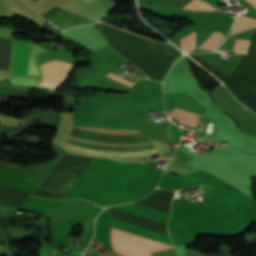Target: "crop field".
<instances>
[{
  "label": "crop field",
  "mask_w": 256,
  "mask_h": 256,
  "mask_svg": "<svg viewBox=\"0 0 256 256\" xmlns=\"http://www.w3.org/2000/svg\"><path fill=\"white\" fill-rule=\"evenodd\" d=\"M113 250L123 256H151V252L172 247L111 227Z\"/></svg>",
  "instance_id": "crop-field-2"
},
{
  "label": "crop field",
  "mask_w": 256,
  "mask_h": 256,
  "mask_svg": "<svg viewBox=\"0 0 256 256\" xmlns=\"http://www.w3.org/2000/svg\"><path fill=\"white\" fill-rule=\"evenodd\" d=\"M85 1H89V0H85Z\"/></svg>",
  "instance_id": "crop-field-13"
},
{
  "label": "crop field",
  "mask_w": 256,
  "mask_h": 256,
  "mask_svg": "<svg viewBox=\"0 0 256 256\" xmlns=\"http://www.w3.org/2000/svg\"><path fill=\"white\" fill-rule=\"evenodd\" d=\"M253 7L256 8V0H247Z\"/></svg>",
  "instance_id": "crop-field-12"
},
{
  "label": "crop field",
  "mask_w": 256,
  "mask_h": 256,
  "mask_svg": "<svg viewBox=\"0 0 256 256\" xmlns=\"http://www.w3.org/2000/svg\"><path fill=\"white\" fill-rule=\"evenodd\" d=\"M194 10H215V8L200 0H196Z\"/></svg>",
  "instance_id": "crop-field-10"
},
{
  "label": "crop field",
  "mask_w": 256,
  "mask_h": 256,
  "mask_svg": "<svg viewBox=\"0 0 256 256\" xmlns=\"http://www.w3.org/2000/svg\"><path fill=\"white\" fill-rule=\"evenodd\" d=\"M223 37H224L223 34L213 32V34L206 41H204L198 48L212 50L222 40ZM224 39H225V37H224ZM224 39L222 41H224Z\"/></svg>",
  "instance_id": "crop-field-7"
},
{
  "label": "crop field",
  "mask_w": 256,
  "mask_h": 256,
  "mask_svg": "<svg viewBox=\"0 0 256 256\" xmlns=\"http://www.w3.org/2000/svg\"><path fill=\"white\" fill-rule=\"evenodd\" d=\"M65 148L70 149V150H74V151H78V152H83V153L97 154V155H108V156H118V157L145 156V155H154V154H156L155 151L136 152V153H110V152L87 150V149L68 146V145H66Z\"/></svg>",
  "instance_id": "crop-field-5"
},
{
  "label": "crop field",
  "mask_w": 256,
  "mask_h": 256,
  "mask_svg": "<svg viewBox=\"0 0 256 256\" xmlns=\"http://www.w3.org/2000/svg\"><path fill=\"white\" fill-rule=\"evenodd\" d=\"M182 48L188 53L195 49V32L181 39Z\"/></svg>",
  "instance_id": "crop-field-8"
},
{
  "label": "crop field",
  "mask_w": 256,
  "mask_h": 256,
  "mask_svg": "<svg viewBox=\"0 0 256 256\" xmlns=\"http://www.w3.org/2000/svg\"><path fill=\"white\" fill-rule=\"evenodd\" d=\"M168 114L171 115V116H174L176 118L181 119L182 121L179 122L180 124H184V125H188V126H193V127L197 126V124H198V122H199V120H200V118L202 116V115H199V114L191 113V112L180 110V109H176V108H174L173 110L168 112Z\"/></svg>",
  "instance_id": "crop-field-4"
},
{
  "label": "crop field",
  "mask_w": 256,
  "mask_h": 256,
  "mask_svg": "<svg viewBox=\"0 0 256 256\" xmlns=\"http://www.w3.org/2000/svg\"><path fill=\"white\" fill-rule=\"evenodd\" d=\"M48 51L51 50L35 43L14 41L10 76H41L35 56Z\"/></svg>",
  "instance_id": "crop-field-3"
},
{
  "label": "crop field",
  "mask_w": 256,
  "mask_h": 256,
  "mask_svg": "<svg viewBox=\"0 0 256 256\" xmlns=\"http://www.w3.org/2000/svg\"><path fill=\"white\" fill-rule=\"evenodd\" d=\"M107 76H109V77H111V78H113V79H115V80H117V81H119V82H121V83H123V84L129 86V87H131V86L133 85V83H131V82H129V81H127V80H125V79L119 77V76H115V75L112 74V73L108 74Z\"/></svg>",
  "instance_id": "crop-field-11"
},
{
  "label": "crop field",
  "mask_w": 256,
  "mask_h": 256,
  "mask_svg": "<svg viewBox=\"0 0 256 256\" xmlns=\"http://www.w3.org/2000/svg\"><path fill=\"white\" fill-rule=\"evenodd\" d=\"M251 49L256 50V32H254L253 34V38L248 50V55H244L241 57L238 67L233 71V73L229 77L220 72L219 70H217L216 68H214L212 65L206 63L196 55L191 54L190 56H192L205 68H207L214 75H216L241 102H243L246 106H248L250 109L256 112V101H252L256 100V51H251Z\"/></svg>",
  "instance_id": "crop-field-1"
},
{
  "label": "crop field",
  "mask_w": 256,
  "mask_h": 256,
  "mask_svg": "<svg viewBox=\"0 0 256 256\" xmlns=\"http://www.w3.org/2000/svg\"><path fill=\"white\" fill-rule=\"evenodd\" d=\"M250 41L247 40H236L233 48L234 53L247 54Z\"/></svg>",
  "instance_id": "crop-field-9"
},
{
  "label": "crop field",
  "mask_w": 256,
  "mask_h": 256,
  "mask_svg": "<svg viewBox=\"0 0 256 256\" xmlns=\"http://www.w3.org/2000/svg\"><path fill=\"white\" fill-rule=\"evenodd\" d=\"M253 27H256V20L255 19L238 15V17H237V19H236V21H235V23L232 27L231 35L236 33V32L246 30V29H249V28H253Z\"/></svg>",
  "instance_id": "crop-field-6"
}]
</instances>
